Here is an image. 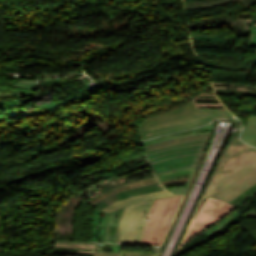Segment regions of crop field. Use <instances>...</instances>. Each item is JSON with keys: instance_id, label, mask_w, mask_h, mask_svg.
Listing matches in <instances>:
<instances>
[{"instance_id": "crop-field-5", "label": "crop field", "mask_w": 256, "mask_h": 256, "mask_svg": "<svg viewBox=\"0 0 256 256\" xmlns=\"http://www.w3.org/2000/svg\"><path fill=\"white\" fill-rule=\"evenodd\" d=\"M154 201L134 204L124 209L118 243L141 244L146 221Z\"/></svg>"}, {"instance_id": "crop-field-9", "label": "crop field", "mask_w": 256, "mask_h": 256, "mask_svg": "<svg viewBox=\"0 0 256 256\" xmlns=\"http://www.w3.org/2000/svg\"><path fill=\"white\" fill-rule=\"evenodd\" d=\"M163 190H165V189L162 188L159 184H156V185L141 187V188L129 190L126 192H122V193H120V195H121L122 199H124V198L137 196V195H141V194H145V193H149V192L163 191Z\"/></svg>"}, {"instance_id": "crop-field-8", "label": "crop field", "mask_w": 256, "mask_h": 256, "mask_svg": "<svg viewBox=\"0 0 256 256\" xmlns=\"http://www.w3.org/2000/svg\"><path fill=\"white\" fill-rule=\"evenodd\" d=\"M241 139L244 142L256 147V116L255 115L251 116L248 124L244 128Z\"/></svg>"}, {"instance_id": "crop-field-14", "label": "crop field", "mask_w": 256, "mask_h": 256, "mask_svg": "<svg viewBox=\"0 0 256 256\" xmlns=\"http://www.w3.org/2000/svg\"><path fill=\"white\" fill-rule=\"evenodd\" d=\"M255 198H256V196L253 199H255Z\"/></svg>"}, {"instance_id": "crop-field-13", "label": "crop field", "mask_w": 256, "mask_h": 256, "mask_svg": "<svg viewBox=\"0 0 256 256\" xmlns=\"http://www.w3.org/2000/svg\"><path fill=\"white\" fill-rule=\"evenodd\" d=\"M120 253L95 252L94 256H119Z\"/></svg>"}, {"instance_id": "crop-field-10", "label": "crop field", "mask_w": 256, "mask_h": 256, "mask_svg": "<svg viewBox=\"0 0 256 256\" xmlns=\"http://www.w3.org/2000/svg\"><path fill=\"white\" fill-rule=\"evenodd\" d=\"M118 200H121V197H120L119 193H117V194H115L111 197H108V198H106V199H104V200H102V201H100V202H98L94 205H96L98 208H100L102 210L103 208H105L109 204H111L115 201H118Z\"/></svg>"}, {"instance_id": "crop-field-2", "label": "crop field", "mask_w": 256, "mask_h": 256, "mask_svg": "<svg viewBox=\"0 0 256 256\" xmlns=\"http://www.w3.org/2000/svg\"><path fill=\"white\" fill-rule=\"evenodd\" d=\"M210 133L145 146L149 163L156 176L196 166Z\"/></svg>"}, {"instance_id": "crop-field-11", "label": "crop field", "mask_w": 256, "mask_h": 256, "mask_svg": "<svg viewBox=\"0 0 256 256\" xmlns=\"http://www.w3.org/2000/svg\"><path fill=\"white\" fill-rule=\"evenodd\" d=\"M248 47L256 48V26L250 27Z\"/></svg>"}, {"instance_id": "crop-field-4", "label": "crop field", "mask_w": 256, "mask_h": 256, "mask_svg": "<svg viewBox=\"0 0 256 256\" xmlns=\"http://www.w3.org/2000/svg\"><path fill=\"white\" fill-rule=\"evenodd\" d=\"M183 196L158 199L148 218L142 244H161Z\"/></svg>"}, {"instance_id": "crop-field-6", "label": "crop field", "mask_w": 256, "mask_h": 256, "mask_svg": "<svg viewBox=\"0 0 256 256\" xmlns=\"http://www.w3.org/2000/svg\"><path fill=\"white\" fill-rule=\"evenodd\" d=\"M235 209L236 207L224 201L215 200L208 197V199L198 212L183 243L192 239L195 235L210 227L213 223L217 222Z\"/></svg>"}, {"instance_id": "crop-field-3", "label": "crop field", "mask_w": 256, "mask_h": 256, "mask_svg": "<svg viewBox=\"0 0 256 256\" xmlns=\"http://www.w3.org/2000/svg\"><path fill=\"white\" fill-rule=\"evenodd\" d=\"M230 117L234 116L227 110L197 109L192 100L181 108L143 121L139 130L145 140Z\"/></svg>"}, {"instance_id": "crop-field-1", "label": "crop field", "mask_w": 256, "mask_h": 256, "mask_svg": "<svg viewBox=\"0 0 256 256\" xmlns=\"http://www.w3.org/2000/svg\"><path fill=\"white\" fill-rule=\"evenodd\" d=\"M212 183L206 195L227 202L256 183V149L235 138Z\"/></svg>"}, {"instance_id": "crop-field-7", "label": "crop field", "mask_w": 256, "mask_h": 256, "mask_svg": "<svg viewBox=\"0 0 256 256\" xmlns=\"http://www.w3.org/2000/svg\"><path fill=\"white\" fill-rule=\"evenodd\" d=\"M169 196H173V195H171L167 191L150 193V194L137 196V197H132V198H128V199L118 201V202L106 207L103 210L108 211V212H112L116 209L122 208L124 206L130 205V204L138 202V201L150 200V199L161 198V197H169Z\"/></svg>"}, {"instance_id": "crop-field-12", "label": "crop field", "mask_w": 256, "mask_h": 256, "mask_svg": "<svg viewBox=\"0 0 256 256\" xmlns=\"http://www.w3.org/2000/svg\"><path fill=\"white\" fill-rule=\"evenodd\" d=\"M157 253L123 251L121 256H156Z\"/></svg>"}]
</instances>
